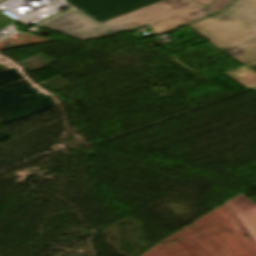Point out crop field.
Wrapping results in <instances>:
<instances>
[{
	"label": "crop field",
	"instance_id": "6",
	"mask_svg": "<svg viewBox=\"0 0 256 256\" xmlns=\"http://www.w3.org/2000/svg\"><path fill=\"white\" fill-rule=\"evenodd\" d=\"M225 74L247 89L256 86V62L225 72Z\"/></svg>",
	"mask_w": 256,
	"mask_h": 256
},
{
	"label": "crop field",
	"instance_id": "4",
	"mask_svg": "<svg viewBox=\"0 0 256 256\" xmlns=\"http://www.w3.org/2000/svg\"><path fill=\"white\" fill-rule=\"evenodd\" d=\"M39 27L59 31L79 40L111 35L74 11L55 17Z\"/></svg>",
	"mask_w": 256,
	"mask_h": 256
},
{
	"label": "crop field",
	"instance_id": "7",
	"mask_svg": "<svg viewBox=\"0 0 256 256\" xmlns=\"http://www.w3.org/2000/svg\"><path fill=\"white\" fill-rule=\"evenodd\" d=\"M232 0H216L214 3H212L209 7L214 9L215 11H220L222 8H224L228 3H230Z\"/></svg>",
	"mask_w": 256,
	"mask_h": 256
},
{
	"label": "crop field",
	"instance_id": "3",
	"mask_svg": "<svg viewBox=\"0 0 256 256\" xmlns=\"http://www.w3.org/2000/svg\"><path fill=\"white\" fill-rule=\"evenodd\" d=\"M96 22L100 23L161 0H66Z\"/></svg>",
	"mask_w": 256,
	"mask_h": 256
},
{
	"label": "crop field",
	"instance_id": "9",
	"mask_svg": "<svg viewBox=\"0 0 256 256\" xmlns=\"http://www.w3.org/2000/svg\"><path fill=\"white\" fill-rule=\"evenodd\" d=\"M256 91V89H254Z\"/></svg>",
	"mask_w": 256,
	"mask_h": 256
},
{
	"label": "crop field",
	"instance_id": "5",
	"mask_svg": "<svg viewBox=\"0 0 256 256\" xmlns=\"http://www.w3.org/2000/svg\"><path fill=\"white\" fill-rule=\"evenodd\" d=\"M226 204L232 207L256 242V203L240 194Z\"/></svg>",
	"mask_w": 256,
	"mask_h": 256
},
{
	"label": "crop field",
	"instance_id": "1",
	"mask_svg": "<svg viewBox=\"0 0 256 256\" xmlns=\"http://www.w3.org/2000/svg\"><path fill=\"white\" fill-rule=\"evenodd\" d=\"M189 26L242 64L256 61V0H236L220 14Z\"/></svg>",
	"mask_w": 256,
	"mask_h": 256
},
{
	"label": "crop field",
	"instance_id": "2",
	"mask_svg": "<svg viewBox=\"0 0 256 256\" xmlns=\"http://www.w3.org/2000/svg\"><path fill=\"white\" fill-rule=\"evenodd\" d=\"M215 11L190 0H163L129 14L100 23L110 31L149 25L159 35L208 16Z\"/></svg>",
	"mask_w": 256,
	"mask_h": 256
},
{
	"label": "crop field",
	"instance_id": "8",
	"mask_svg": "<svg viewBox=\"0 0 256 256\" xmlns=\"http://www.w3.org/2000/svg\"><path fill=\"white\" fill-rule=\"evenodd\" d=\"M200 5L206 6L208 5L212 0H192Z\"/></svg>",
	"mask_w": 256,
	"mask_h": 256
}]
</instances>
